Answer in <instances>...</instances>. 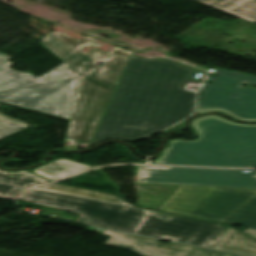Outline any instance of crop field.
<instances>
[{
    "label": "crop field",
    "instance_id": "4",
    "mask_svg": "<svg viewBox=\"0 0 256 256\" xmlns=\"http://www.w3.org/2000/svg\"><path fill=\"white\" fill-rule=\"evenodd\" d=\"M201 142H174L161 164L245 167L256 166V127L210 119L199 123Z\"/></svg>",
    "mask_w": 256,
    "mask_h": 256
},
{
    "label": "crop field",
    "instance_id": "17",
    "mask_svg": "<svg viewBox=\"0 0 256 256\" xmlns=\"http://www.w3.org/2000/svg\"><path fill=\"white\" fill-rule=\"evenodd\" d=\"M244 232L256 237V229H252V228H248L247 230H245Z\"/></svg>",
    "mask_w": 256,
    "mask_h": 256
},
{
    "label": "crop field",
    "instance_id": "18",
    "mask_svg": "<svg viewBox=\"0 0 256 256\" xmlns=\"http://www.w3.org/2000/svg\"><path fill=\"white\" fill-rule=\"evenodd\" d=\"M10 57L0 54V65L6 61H8Z\"/></svg>",
    "mask_w": 256,
    "mask_h": 256
},
{
    "label": "crop field",
    "instance_id": "7",
    "mask_svg": "<svg viewBox=\"0 0 256 256\" xmlns=\"http://www.w3.org/2000/svg\"><path fill=\"white\" fill-rule=\"evenodd\" d=\"M137 183L256 188V173L228 169L139 166Z\"/></svg>",
    "mask_w": 256,
    "mask_h": 256
},
{
    "label": "crop field",
    "instance_id": "15",
    "mask_svg": "<svg viewBox=\"0 0 256 256\" xmlns=\"http://www.w3.org/2000/svg\"><path fill=\"white\" fill-rule=\"evenodd\" d=\"M209 118H217V119L223 120V121L228 122V123L240 124V123H235V122L229 121V120H227V119H225V118H223L221 116H217V115H208V116H203V117L198 118V119H194V120L191 121V124H192L193 128L198 131V133L200 135V140L202 138V135H201L198 123L200 121H202V120L209 119ZM240 125H246V124H240ZM249 126H256V125H249ZM174 141H184V140H172V141H170V145L164 150V152L162 153L161 157L155 160L154 164H160V162L163 159L166 158V156H167V154H168V152H169V150H170V148H171V146H172Z\"/></svg>",
    "mask_w": 256,
    "mask_h": 256
},
{
    "label": "crop field",
    "instance_id": "12",
    "mask_svg": "<svg viewBox=\"0 0 256 256\" xmlns=\"http://www.w3.org/2000/svg\"><path fill=\"white\" fill-rule=\"evenodd\" d=\"M241 18L256 22V0H197Z\"/></svg>",
    "mask_w": 256,
    "mask_h": 256
},
{
    "label": "crop field",
    "instance_id": "3",
    "mask_svg": "<svg viewBox=\"0 0 256 256\" xmlns=\"http://www.w3.org/2000/svg\"><path fill=\"white\" fill-rule=\"evenodd\" d=\"M95 38L74 40L63 33L50 32L40 42L81 74L67 137L90 141L110 100L114 88L131 57V51L119 47L106 53L95 48L89 54L80 49ZM100 60L106 64L98 66Z\"/></svg>",
    "mask_w": 256,
    "mask_h": 256
},
{
    "label": "crop field",
    "instance_id": "14",
    "mask_svg": "<svg viewBox=\"0 0 256 256\" xmlns=\"http://www.w3.org/2000/svg\"><path fill=\"white\" fill-rule=\"evenodd\" d=\"M29 125L0 114V139Z\"/></svg>",
    "mask_w": 256,
    "mask_h": 256
},
{
    "label": "crop field",
    "instance_id": "10",
    "mask_svg": "<svg viewBox=\"0 0 256 256\" xmlns=\"http://www.w3.org/2000/svg\"><path fill=\"white\" fill-rule=\"evenodd\" d=\"M50 182L37 177L27 171H0V196L6 198L17 197L27 187Z\"/></svg>",
    "mask_w": 256,
    "mask_h": 256
},
{
    "label": "crop field",
    "instance_id": "11",
    "mask_svg": "<svg viewBox=\"0 0 256 256\" xmlns=\"http://www.w3.org/2000/svg\"><path fill=\"white\" fill-rule=\"evenodd\" d=\"M213 248L256 256V239L229 227Z\"/></svg>",
    "mask_w": 256,
    "mask_h": 256
},
{
    "label": "crop field",
    "instance_id": "8",
    "mask_svg": "<svg viewBox=\"0 0 256 256\" xmlns=\"http://www.w3.org/2000/svg\"><path fill=\"white\" fill-rule=\"evenodd\" d=\"M212 84L206 83L199 98V109L221 107L242 118H256V89L241 88V82L256 85L255 76L217 69Z\"/></svg>",
    "mask_w": 256,
    "mask_h": 256
},
{
    "label": "crop field",
    "instance_id": "1",
    "mask_svg": "<svg viewBox=\"0 0 256 256\" xmlns=\"http://www.w3.org/2000/svg\"><path fill=\"white\" fill-rule=\"evenodd\" d=\"M195 70L132 56L92 143L139 140L192 114L196 93L184 88Z\"/></svg>",
    "mask_w": 256,
    "mask_h": 256
},
{
    "label": "crop field",
    "instance_id": "20",
    "mask_svg": "<svg viewBox=\"0 0 256 256\" xmlns=\"http://www.w3.org/2000/svg\"><path fill=\"white\" fill-rule=\"evenodd\" d=\"M123 204H125V205H129L127 202H124Z\"/></svg>",
    "mask_w": 256,
    "mask_h": 256
},
{
    "label": "crop field",
    "instance_id": "9",
    "mask_svg": "<svg viewBox=\"0 0 256 256\" xmlns=\"http://www.w3.org/2000/svg\"><path fill=\"white\" fill-rule=\"evenodd\" d=\"M88 231L112 235L106 245L130 249L142 256H237L183 244H161L157 239L89 227Z\"/></svg>",
    "mask_w": 256,
    "mask_h": 256
},
{
    "label": "crop field",
    "instance_id": "6",
    "mask_svg": "<svg viewBox=\"0 0 256 256\" xmlns=\"http://www.w3.org/2000/svg\"><path fill=\"white\" fill-rule=\"evenodd\" d=\"M159 210L256 228V189L182 185Z\"/></svg>",
    "mask_w": 256,
    "mask_h": 256
},
{
    "label": "crop field",
    "instance_id": "13",
    "mask_svg": "<svg viewBox=\"0 0 256 256\" xmlns=\"http://www.w3.org/2000/svg\"><path fill=\"white\" fill-rule=\"evenodd\" d=\"M88 168L91 167L66 159H58L44 167L35 169L34 172L40 176L55 181Z\"/></svg>",
    "mask_w": 256,
    "mask_h": 256
},
{
    "label": "crop field",
    "instance_id": "5",
    "mask_svg": "<svg viewBox=\"0 0 256 256\" xmlns=\"http://www.w3.org/2000/svg\"><path fill=\"white\" fill-rule=\"evenodd\" d=\"M0 66V100L38 111L70 118L80 74L65 62L35 77Z\"/></svg>",
    "mask_w": 256,
    "mask_h": 256
},
{
    "label": "crop field",
    "instance_id": "16",
    "mask_svg": "<svg viewBox=\"0 0 256 256\" xmlns=\"http://www.w3.org/2000/svg\"><path fill=\"white\" fill-rule=\"evenodd\" d=\"M209 111H220V112H225L227 114H230L232 116H234L235 118L239 119V120H244V121H256V119H242L236 115H234L233 113L227 111V110H224V109H220V108H210V109H204V110H199V109H196V113L198 114H201V113H205V112H209Z\"/></svg>",
    "mask_w": 256,
    "mask_h": 256
},
{
    "label": "crop field",
    "instance_id": "2",
    "mask_svg": "<svg viewBox=\"0 0 256 256\" xmlns=\"http://www.w3.org/2000/svg\"><path fill=\"white\" fill-rule=\"evenodd\" d=\"M20 200L80 214L76 222L212 248L228 226L196 218L121 205L116 195L50 184Z\"/></svg>",
    "mask_w": 256,
    "mask_h": 256
},
{
    "label": "crop field",
    "instance_id": "19",
    "mask_svg": "<svg viewBox=\"0 0 256 256\" xmlns=\"http://www.w3.org/2000/svg\"><path fill=\"white\" fill-rule=\"evenodd\" d=\"M161 239H165V240H170V241H172L173 238H169V237H164V236H163Z\"/></svg>",
    "mask_w": 256,
    "mask_h": 256
}]
</instances>
